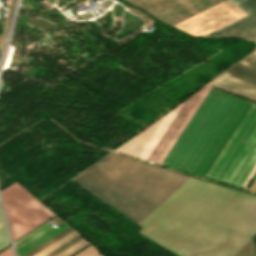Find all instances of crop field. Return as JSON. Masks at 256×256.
<instances>
[{
	"label": "crop field",
	"mask_w": 256,
	"mask_h": 256,
	"mask_svg": "<svg viewBox=\"0 0 256 256\" xmlns=\"http://www.w3.org/2000/svg\"><path fill=\"white\" fill-rule=\"evenodd\" d=\"M248 104L211 88L162 164L202 175ZM255 124L250 102L203 176L218 181Z\"/></svg>",
	"instance_id": "crop-field-2"
},
{
	"label": "crop field",
	"mask_w": 256,
	"mask_h": 256,
	"mask_svg": "<svg viewBox=\"0 0 256 256\" xmlns=\"http://www.w3.org/2000/svg\"><path fill=\"white\" fill-rule=\"evenodd\" d=\"M175 25L223 0H128Z\"/></svg>",
	"instance_id": "crop-field-7"
},
{
	"label": "crop field",
	"mask_w": 256,
	"mask_h": 256,
	"mask_svg": "<svg viewBox=\"0 0 256 256\" xmlns=\"http://www.w3.org/2000/svg\"><path fill=\"white\" fill-rule=\"evenodd\" d=\"M209 84L256 100V49Z\"/></svg>",
	"instance_id": "crop-field-6"
},
{
	"label": "crop field",
	"mask_w": 256,
	"mask_h": 256,
	"mask_svg": "<svg viewBox=\"0 0 256 256\" xmlns=\"http://www.w3.org/2000/svg\"><path fill=\"white\" fill-rule=\"evenodd\" d=\"M255 39V38H254ZM253 40V39H252ZM254 42H256V39L255 40H253Z\"/></svg>",
	"instance_id": "crop-field-15"
},
{
	"label": "crop field",
	"mask_w": 256,
	"mask_h": 256,
	"mask_svg": "<svg viewBox=\"0 0 256 256\" xmlns=\"http://www.w3.org/2000/svg\"><path fill=\"white\" fill-rule=\"evenodd\" d=\"M205 36H242L252 40L256 38V11Z\"/></svg>",
	"instance_id": "crop-field-9"
},
{
	"label": "crop field",
	"mask_w": 256,
	"mask_h": 256,
	"mask_svg": "<svg viewBox=\"0 0 256 256\" xmlns=\"http://www.w3.org/2000/svg\"><path fill=\"white\" fill-rule=\"evenodd\" d=\"M1 193L13 241L55 216L17 182Z\"/></svg>",
	"instance_id": "crop-field-4"
},
{
	"label": "crop field",
	"mask_w": 256,
	"mask_h": 256,
	"mask_svg": "<svg viewBox=\"0 0 256 256\" xmlns=\"http://www.w3.org/2000/svg\"><path fill=\"white\" fill-rule=\"evenodd\" d=\"M10 244L5 221H4V216L0 204V250Z\"/></svg>",
	"instance_id": "crop-field-10"
},
{
	"label": "crop field",
	"mask_w": 256,
	"mask_h": 256,
	"mask_svg": "<svg viewBox=\"0 0 256 256\" xmlns=\"http://www.w3.org/2000/svg\"><path fill=\"white\" fill-rule=\"evenodd\" d=\"M248 190H252V191H255V192H256V180H255V182L253 183V185L251 186V188L248 189Z\"/></svg>",
	"instance_id": "crop-field-14"
},
{
	"label": "crop field",
	"mask_w": 256,
	"mask_h": 256,
	"mask_svg": "<svg viewBox=\"0 0 256 256\" xmlns=\"http://www.w3.org/2000/svg\"><path fill=\"white\" fill-rule=\"evenodd\" d=\"M138 224L180 256H231L256 233V197L189 177Z\"/></svg>",
	"instance_id": "crop-field-1"
},
{
	"label": "crop field",
	"mask_w": 256,
	"mask_h": 256,
	"mask_svg": "<svg viewBox=\"0 0 256 256\" xmlns=\"http://www.w3.org/2000/svg\"><path fill=\"white\" fill-rule=\"evenodd\" d=\"M256 173V126L251 131L219 181L247 187Z\"/></svg>",
	"instance_id": "crop-field-8"
},
{
	"label": "crop field",
	"mask_w": 256,
	"mask_h": 256,
	"mask_svg": "<svg viewBox=\"0 0 256 256\" xmlns=\"http://www.w3.org/2000/svg\"><path fill=\"white\" fill-rule=\"evenodd\" d=\"M246 14L256 10V0H230Z\"/></svg>",
	"instance_id": "crop-field-11"
},
{
	"label": "crop field",
	"mask_w": 256,
	"mask_h": 256,
	"mask_svg": "<svg viewBox=\"0 0 256 256\" xmlns=\"http://www.w3.org/2000/svg\"><path fill=\"white\" fill-rule=\"evenodd\" d=\"M77 256H103L100 252L94 249L92 246L78 254Z\"/></svg>",
	"instance_id": "crop-field-12"
},
{
	"label": "crop field",
	"mask_w": 256,
	"mask_h": 256,
	"mask_svg": "<svg viewBox=\"0 0 256 256\" xmlns=\"http://www.w3.org/2000/svg\"><path fill=\"white\" fill-rule=\"evenodd\" d=\"M0 256H13L12 248H9L8 250L4 251L0 254Z\"/></svg>",
	"instance_id": "crop-field-13"
},
{
	"label": "crop field",
	"mask_w": 256,
	"mask_h": 256,
	"mask_svg": "<svg viewBox=\"0 0 256 256\" xmlns=\"http://www.w3.org/2000/svg\"><path fill=\"white\" fill-rule=\"evenodd\" d=\"M67 227L65 224L56 231L49 225H44L15 244L17 256L25 255ZM86 244L88 243L69 227L25 256H69Z\"/></svg>",
	"instance_id": "crop-field-5"
},
{
	"label": "crop field",
	"mask_w": 256,
	"mask_h": 256,
	"mask_svg": "<svg viewBox=\"0 0 256 256\" xmlns=\"http://www.w3.org/2000/svg\"><path fill=\"white\" fill-rule=\"evenodd\" d=\"M210 88V85L207 84L194 96L173 110L171 114L169 113L170 115L167 114L144 132L120 146L115 151L137 157L169 115L138 156V158L161 164Z\"/></svg>",
	"instance_id": "crop-field-3"
}]
</instances>
